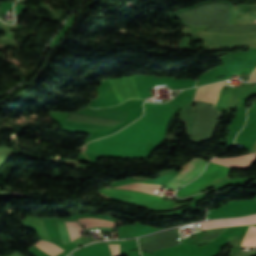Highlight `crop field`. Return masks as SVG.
Returning <instances> with one entry per match:
<instances>
[{
	"instance_id": "1",
	"label": "crop field",
	"mask_w": 256,
	"mask_h": 256,
	"mask_svg": "<svg viewBox=\"0 0 256 256\" xmlns=\"http://www.w3.org/2000/svg\"><path fill=\"white\" fill-rule=\"evenodd\" d=\"M167 126L149 123L134 122L124 130L100 141L147 146L148 142L160 141Z\"/></svg>"
},
{
	"instance_id": "2",
	"label": "crop field",
	"mask_w": 256,
	"mask_h": 256,
	"mask_svg": "<svg viewBox=\"0 0 256 256\" xmlns=\"http://www.w3.org/2000/svg\"><path fill=\"white\" fill-rule=\"evenodd\" d=\"M228 170H229V167H225V166L210 162L208 164L206 170L202 173V175L197 180L193 181L189 185L182 188L180 191H178L176 193V195L183 197L188 192L195 189L196 187H198L204 183H207L223 174H226L228 172Z\"/></svg>"
},
{
	"instance_id": "3",
	"label": "crop field",
	"mask_w": 256,
	"mask_h": 256,
	"mask_svg": "<svg viewBox=\"0 0 256 256\" xmlns=\"http://www.w3.org/2000/svg\"><path fill=\"white\" fill-rule=\"evenodd\" d=\"M120 102L128 98H141L133 76L109 80Z\"/></svg>"
},
{
	"instance_id": "4",
	"label": "crop field",
	"mask_w": 256,
	"mask_h": 256,
	"mask_svg": "<svg viewBox=\"0 0 256 256\" xmlns=\"http://www.w3.org/2000/svg\"><path fill=\"white\" fill-rule=\"evenodd\" d=\"M206 163V161L198 157L193 159V161L189 164L188 168L184 172L180 173L170 183H168L167 186L174 189L183 186L185 183L197 177L203 170Z\"/></svg>"
},
{
	"instance_id": "5",
	"label": "crop field",
	"mask_w": 256,
	"mask_h": 256,
	"mask_svg": "<svg viewBox=\"0 0 256 256\" xmlns=\"http://www.w3.org/2000/svg\"><path fill=\"white\" fill-rule=\"evenodd\" d=\"M57 240L64 243L60 223L57 220H52ZM61 222V221H60ZM64 238L66 244L73 239L82 236L83 228L77 222H61ZM65 244V243H64Z\"/></svg>"
},
{
	"instance_id": "6",
	"label": "crop field",
	"mask_w": 256,
	"mask_h": 256,
	"mask_svg": "<svg viewBox=\"0 0 256 256\" xmlns=\"http://www.w3.org/2000/svg\"><path fill=\"white\" fill-rule=\"evenodd\" d=\"M256 223V215L231 220H214L200 223L201 229Z\"/></svg>"
},
{
	"instance_id": "7",
	"label": "crop field",
	"mask_w": 256,
	"mask_h": 256,
	"mask_svg": "<svg viewBox=\"0 0 256 256\" xmlns=\"http://www.w3.org/2000/svg\"><path fill=\"white\" fill-rule=\"evenodd\" d=\"M109 193L137 199V200H142L150 203H156L160 205H164L170 202L161 200L160 197L154 196V195H148V194H143V193H138V192H133V191H125V190H114V189H103ZM104 191V192H105Z\"/></svg>"
},
{
	"instance_id": "8",
	"label": "crop field",
	"mask_w": 256,
	"mask_h": 256,
	"mask_svg": "<svg viewBox=\"0 0 256 256\" xmlns=\"http://www.w3.org/2000/svg\"><path fill=\"white\" fill-rule=\"evenodd\" d=\"M224 82L225 81L197 89L194 100L215 102L218 94V89L222 86Z\"/></svg>"
},
{
	"instance_id": "9",
	"label": "crop field",
	"mask_w": 256,
	"mask_h": 256,
	"mask_svg": "<svg viewBox=\"0 0 256 256\" xmlns=\"http://www.w3.org/2000/svg\"><path fill=\"white\" fill-rule=\"evenodd\" d=\"M78 220L85 227H93V226L115 227L116 226V223H113V222L108 221V220H102V219L85 218V219H78Z\"/></svg>"
},
{
	"instance_id": "10",
	"label": "crop field",
	"mask_w": 256,
	"mask_h": 256,
	"mask_svg": "<svg viewBox=\"0 0 256 256\" xmlns=\"http://www.w3.org/2000/svg\"><path fill=\"white\" fill-rule=\"evenodd\" d=\"M35 245H37L39 248L44 250L50 256H55V255L59 254L60 252L64 251L61 248L57 247L56 245H54L50 242L43 241V240L39 241Z\"/></svg>"
},
{
	"instance_id": "11",
	"label": "crop field",
	"mask_w": 256,
	"mask_h": 256,
	"mask_svg": "<svg viewBox=\"0 0 256 256\" xmlns=\"http://www.w3.org/2000/svg\"><path fill=\"white\" fill-rule=\"evenodd\" d=\"M65 126H72V127H78V128H85V129H106L109 128L107 126H98V125H90L86 123H79V122H71L64 120L62 122Z\"/></svg>"
},
{
	"instance_id": "12",
	"label": "crop field",
	"mask_w": 256,
	"mask_h": 256,
	"mask_svg": "<svg viewBox=\"0 0 256 256\" xmlns=\"http://www.w3.org/2000/svg\"><path fill=\"white\" fill-rule=\"evenodd\" d=\"M231 96V89H224L220 91L219 101L215 104L228 106Z\"/></svg>"
},
{
	"instance_id": "13",
	"label": "crop field",
	"mask_w": 256,
	"mask_h": 256,
	"mask_svg": "<svg viewBox=\"0 0 256 256\" xmlns=\"http://www.w3.org/2000/svg\"><path fill=\"white\" fill-rule=\"evenodd\" d=\"M250 81H256V70L253 71V73L250 77Z\"/></svg>"
},
{
	"instance_id": "14",
	"label": "crop field",
	"mask_w": 256,
	"mask_h": 256,
	"mask_svg": "<svg viewBox=\"0 0 256 256\" xmlns=\"http://www.w3.org/2000/svg\"><path fill=\"white\" fill-rule=\"evenodd\" d=\"M10 256H17V255L14 253V254H12V255H10Z\"/></svg>"
}]
</instances>
